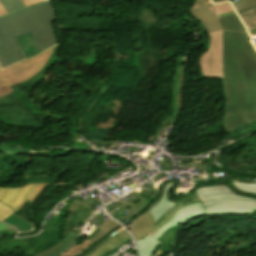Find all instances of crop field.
Returning <instances> with one entry per match:
<instances>
[{"mask_svg": "<svg viewBox=\"0 0 256 256\" xmlns=\"http://www.w3.org/2000/svg\"><path fill=\"white\" fill-rule=\"evenodd\" d=\"M92 243L89 241L87 238L79 245H73L66 253H64L61 256H76V255H80L83 253V251H85Z\"/></svg>", "mask_w": 256, "mask_h": 256, "instance_id": "15", "label": "crop field"}, {"mask_svg": "<svg viewBox=\"0 0 256 256\" xmlns=\"http://www.w3.org/2000/svg\"><path fill=\"white\" fill-rule=\"evenodd\" d=\"M46 185V183H36L26 184L20 188H0V201L16 211L27 199L34 201Z\"/></svg>", "mask_w": 256, "mask_h": 256, "instance_id": "6", "label": "crop field"}, {"mask_svg": "<svg viewBox=\"0 0 256 256\" xmlns=\"http://www.w3.org/2000/svg\"><path fill=\"white\" fill-rule=\"evenodd\" d=\"M119 224L115 221H110L109 223L104 222L90 237L94 236L96 233H99L100 237L94 240V242L98 241L100 238L108 234L114 228H116ZM89 237V238H90Z\"/></svg>", "mask_w": 256, "mask_h": 256, "instance_id": "17", "label": "crop field"}, {"mask_svg": "<svg viewBox=\"0 0 256 256\" xmlns=\"http://www.w3.org/2000/svg\"><path fill=\"white\" fill-rule=\"evenodd\" d=\"M175 184L176 181L165 184L161 198L147 209L155 222L162 216L166 219L146 237L136 241L141 256H151L161 245L157 240L163 232L185 220L204 215H245L256 211L255 199L237 196L225 184L201 186L189 196L173 201L168 192Z\"/></svg>", "mask_w": 256, "mask_h": 256, "instance_id": "2", "label": "crop field"}, {"mask_svg": "<svg viewBox=\"0 0 256 256\" xmlns=\"http://www.w3.org/2000/svg\"><path fill=\"white\" fill-rule=\"evenodd\" d=\"M17 40H18L19 44L21 45L23 51L25 52L27 58H30L34 55L39 54L30 33L20 36V37H17Z\"/></svg>", "mask_w": 256, "mask_h": 256, "instance_id": "13", "label": "crop field"}, {"mask_svg": "<svg viewBox=\"0 0 256 256\" xmlns=\"http://www.w3.org/2000/svg\"><path fill=\"white\" fill-rule=\"evenodd\" d=\"M77 237L78 234L71 231L61 243H58L54 248L46 252L40 253L37 256H55L64 251L67 247H69L76 240Z\"/></svg>", "mask_w": 256, "mask_h": 256, "instance_id": "12", "label": "crop field"}, {"mask_svg": "<svg viewBox=\"0 0 256 256\" xmlns=\"http://www.w3.org/2000/svg\"><path fill=\"white\" fill-rule=\"evenodd\" d=\"M13 212L14 210L10 209L9 207L0 202V221L13 214Z\"/></svg>", "mask_w": 256, "mask_h": 256, "instance_id": "21", "label": "crop field"}, {"mask_svg": "<svg viewBox=\"0 0 256 256\" xmlns=\"http://www.w3.org/2000/svg\"><path fill=\"white\" fill-rule=\"evenodd\" d=\"M57 47L0 71V98L15 93L12 86L36 77L47 66Z\"/></svg>", "mask_w": 256, "mask_h": 256, "instance_id": "5", "label": "crop field"}, {"mask_svg": "<svg viewBox=\"0 0 256 256\" xmlns=\"http://www.w3.org/2000/svg\"><path fill=\"white\" fill-rule=\"evenodd\" d=\"M0 70H1V68H0Z\"/></svg>", "mask_w": 256, "mask_h": 256, "instance_id": "30", "label": "crop field"}, {"mask_svg": "<svg viewBox=\"0 0 256 256\" xmlns=\"http://www.w3.org/2000/svg\"><path fill=\"white\" fill-rule=\"evenodd\" d=\"M237 13L250 32L251 36L256 35V6L238 11Z\"/></svg>", "mask_w": 256, "mask_h": 256, "instance_id": "11", "label": "crop field"}, {"mask_svg": "<svg viewBox=\"0 0 256 256\" xmlns=\"http://www.w3.org/2000/svg\"><path fill=\"white\" fill-rule=\"evenodd\" d=\"M0 3L5 8L7 13L24 7L22 0H0Z\"/></svg>", "mask_w": 256, "mask_h": 256, "instance_id": "18", "label": "crop field"}, {"mask_svg": "<svg viewBox=\"0 0 256 256\" xmlns=\"http://www.w3.org/2000/svg\"><path fill=\"white\" fill-rule=\"evenodd\" d=\"M210 3V0H196L195 5L189 11L192 16L200 19L211 39L209 50L201 56L203 78L223 77V34L213 6L208 5Z\"/></svg>", "mask_w": 256, "mask_h": 256, "instance_id": "4", "label": "crop field"}, {"mask_svg": "<svg viewBox=\"0 0 256 256\" xmlns=\"http://www.w3.org/2000/svg\"><path fill=\"white\" fill-rule=\"evenodd\" d=\"M73 147H84V148H92L90 145H88L86 142H77L73 143Z\"/></svg>", "mask_w": 256, "mask_h": 256, "instance_id": "23", "label": "crop field"}, {"mask_svg": "<svg viewBox=\"0 0 256 256\" xmlns=\"http://www.w3.org/2000/svg\"><path fill=\"white\" fill-rule=\"evenodd\" d=\"M0 151L15 152V153L23 154L28 152L29 150L0 146Z\"/></svg>", "mask_w": 256, "mask_h": 256, "instance_id": "22", "label": "crop field"}, {"mask_svg": "<svg viewBox=\"0 0 256 256\" xmlns=\"http://www.w3.org/2000/svg\"><path fill=\"white\" fill-rule=\"evenodd\" d=\"M204 180H205V182H209V180H210V181H217V180H219V179H211V178H206V177H205Z\"/></svg>", "mask_w": 256, "mask_h": 256, "instance_id": "28", "label": "crop field"}, {"mask_svg": "<svg viewBox=\"0 0 256 256\" xmlns=\"http://www.w3.org/2000/svg\"><path fill=\"white\" fill-rule=\"evenodd\" d=\"M231 186L240 193L256 196V183H238L232 181Z\"/></svg>", "mask_w": 256, "mask_h": 256, "instance_id": "14", "label": "crop field"}, {"mask_svg": "<svg viewBox=\"0 0 256 256\" xmlns=\"http://www.w3.org/2000/svg\"><path fill=\"white\" fill-rule=\"evenodd\" d=\"M161 219H164L163 217ZM161 219L155 224L154 219L150 213L139 216L132 222L124 225L132 233L135 241L146 236L157 224L161 222Z\"/></svg>", "mask_w": 256, "mask_h": 256, "instance_id": "9", "label": "crop field"}, {"mask_svg": "<svg viewBox=\"0 0 256 256\" xmlns=\"http://www.w3.org/2000/svg\"><path fill=\"white\" fill-rule=\"evenodd\" d=\"M14 229L13 227L0 222V230Z\"/></svg>", "mask_w": 256, "mask_h": 256, "instance_id": "24", "label": "crop field"}, {"mask_svg": "<svg viewBox=\"0 0 256 256\" xmlns=\"http://www.w3.org/2000/svg\"><path fill=\"white\" fill-rule=\"evenodd\" d=\"M238 2V4L233 5L236 11L256 5V0H238Z\"/></svg>", "mask_w": 256, "mask_h": 256, "instance_id": "20", "label": "crop field"}, {"mask_svg": "<svg viewBox=\"0 0 256 256\" xmlns=\"http://www.w3.org/2000/svg\"><path fill=\"white\" fill-rule=\"evenodd\" d=\"M220 1H225V0H212L213 3L220 2Z\"/></svg>", "mask_w": 256, "mask_h": 256, "instance_id": "29", "label": "crop field"}, {"mask_svg": "<svg viewBox=\"0 0 256 256\" xmlns=\"http://www.w3.org/2000/svg\"><path fill=\"white\" fill-rule=\"evenodd\" d=\"M213 6L224 33L222 81L226 106L223 123L229 132L256 122V51L230 3Z\"/></svg>", "mask_w": 256, "mask_h": 256, "instance_id": "1", "label": "crop field"}, {"mask_svg": "<svg viewBox=\"0 0 256 256\" xmlns=\"http://www.w3.org/2000/svg\"><path fill=\"white\" fill-rule=\"evenodd\" d=\"M131 238L127 231L122 227L115 231L112 235L98 243L93 247L85 256H102L106 252L120 247L126 241H130Z\"/></svg>", "mask_w": 256, "mask_h": 256, "instance_id": "8", "label": "crop field"}, {"mask_svg": "<svg viewBox=\"0 0 256 256\" xmlns=\"http://www.w3.org/2000/svg\"><path fill=\"white\" fill-rule=\"evenodd\" d=\"M183 62L184 60L179 59L174 73L173 83H172V97H173V105L174 111L171 114V117H177L178 112L180 110L179 101H180V90H181V81L183 75Z\"/></svg>", "mask_w": 256, "mask_h": 256, "instance_id": "10", "label": "crop field"}, {"mask_svg": "<svg viewBox=\"0 0 256 256\" xmlns=\"http://www.w3.org/2000/svg\"><path fill=\"white\" fill-rule=\"evenodd\" d=\"M132 194H134L135 196H137L139 199H141L142 201L134 204L133 202H131L130 200L127 201L129 204H131L134 208H136L137 210H139L138 212L134 213L135 215H138L139 213H141V211L150 203L148 200H146L144 197H142L141 195H139L138 193H136L135 191L132 192ZM133 214V213H131ZM134 215V216H135Z\"/></svg>", "mask_w": 256, "mask_h": 256, "instance_id": "19", "label": "crop field"}, {"mask_svg": "<svg viewBox=\"0 0 256 256\" xmlns=\"http://www.w3.org/2000/svg\"><path fill=\"white\" fill-rule=\"evenodd\" d=\"M6 14V11L3 9V7L0 4V16Z\"/></svg>", "mask_w": 256, "mask_h": 256, "instance_id": "27", "label": "crop field"}, {"mask_svg": "<svg viewBox=\"0 0 256 256\" xmlns=\"http://www.w3.org/2000/svg\"><path fill=\"white\" fill-rule=\"evenodd\" d=\"M58 20L52 1H45L0 18L2 69L26 59L15 37L31 32L39 52L59 44L53 21Z\"/></svg>", "mask_w": 256, "mask_h": 256, "instance_id": "3", "label": "crop field"}, {"mask_svg": "<svg viewBox=\"0 0 256 256\" xmlns=\"http://www.w3.org/2000/svg\"><path fill=\"white\" fill-rule=\"evenodd\" d=\"M87 200L82 203L79 199L73 201L64 220L62 235H67L78 222L86 223L93 214L96 204L91 205Z\"/></svg>", "mask_w": 256, "mask_h": 256, "instance_id": "7", "label": "crop field"}, {"mask_svg": "<svg viewBox=\"0 0 256 256\" xmlns=\"http://www.w3.org/2000/svg\"><path fill=\"white\" fill-rule=\"evenodd\" d=\"M25 5H30V4H33V3H36V2H40V1H43V0H23Z\"/></svg>", "mask_w": 256, "mask_h": 256, "instance_id": "25", "label": "crop field"}, {"mask_svg": "<svg viewBox=\"0 0 256 256\" xmlns=\"http://www.w3.org/2000/svg\"><path fill=\"white\" fill-rule=\"evenodd\" d=\"M3 222L8 223L13 226H16L20 229V231H23V232H26V231L32 229L31 224H29L19 218L14 217V215H11L7 219H5Z\"/></svg>", "mask_w": 256, "mask_h": 256, "instance_id": "16", "label": "crop field"}, {"mask_svg": "<svg viewBox=\"0 0 256 256\" xmlns=\"http://www.w3.org/2000/svg\"><path fill=\"white\" fill-rule=\"evenodd\" d=\"M164 244L160 246V248L152 255V256H161L162 255V248Z\"/></svg>", "mask_w": 256, "mask_h": 256, "instance_id": "26", "label": "crop field"}]
</instances>
